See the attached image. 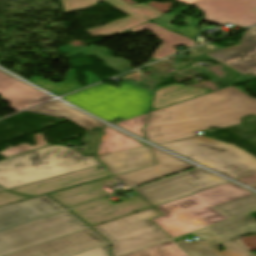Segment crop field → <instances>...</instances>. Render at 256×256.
<instances>
[{"instance_id": "crop-field-35", "label": "crop field", "mask_w": 256, "mask_h": 256, "mask_svg": "<svg viewBox=\"0 0 256 256\" xmlns=\"http://www.w3.org/2000/svg\"><path fill=\"white\" fill-rule=\"evenodd\" d=\"M101 131H94L88 134L83 135L81 143H86V149L79 151L84 155H94V152L97 147L99 135Z\"/></svg>"}, {"instance_id": "crop-field-29", "label": "crop field", "mask_w": 256, "mask_h": 256, "mask_svg": "<svg viewBox=\"0 0 256 256\" xmlns=\"http://www.w3.org/2000/svg\"><path fill=\"white\" fill-rule=\"evenodd\" d=\"M66 79H67L66 82L59 84V85L50 83L48 81H45V80H42L39 78H34L30 81H32L36 85H38L48 91H50L51 93H53L55 95H62L67 92L81 88V86L77 82H75L73 71L68 72V74L66 75Z\"/></svg>"}, {"instance_id": "crop-field-1", "label": "crop field", "mask_w": 256, "mask_h": 256, "mask_svg": "<svg viewBox=\"0 0 256 256\" xmlns=\"http://www.w3.org/2000/svg\"><path fill=\"white\" fill-rule=\"evenodd\" d=\"M251 114L256 116V98L231 86L150 112L144 132L147 140L159 144L195 136L210 126L223 129L240 124V118Z\"/></svg>"}, {"instance_id": "crop-field-19", "label": "crop field", "mask_w": 256, "mask_h": 256, "mask_svg": "<svg viewBox=\"0 0 256 256\" xmlns=\"http://www.w3.org/2000/svg\"><path fill=\"white\" fill-rule=\"evenodd\" d=\"M120 182L115 176L90 182L67 190L49 194L53 199L69 209L109 195L102 188Z\"/></svg>"}, {"instance_id": "crop-field-37", "label": "crop field", "mask_w": 256, "mask_h": 256, "mask_svg": "<svg viewBox=\"0 0 256 256\" xmlns=\"http://www.w3.org/2000/svg\"><path fill=\"white\" fill-rule=\"evenodd\" d=\"M109 252H110V246L108 243L73 256H110Z\"/></svg>"}, {"instance_id": "crop-field-32", "label": "crop field", "mask_w": 256, "mask_h": 256, "mask_svg": "<svg viewBox=\"0 0 256 256\" xmlns=\"http://www.w3.org/2000/svg\"><path fill=\"white\" fill-rule=\"evenodd\" d=\"M242 243L240 240L222 243L226 250L221 251L220 253L223 256H256Z\"/></svg>"}, {"instance_id": "crop-field-39", "label": "crop field", "mask_w": 256, "mask_h": 256, "mask_svg": "<svg viewBox=\"0 0 256 256\" xmlns=\"http://www.w3.org/2000/svg\"><path fill=\"white\" fill-rule=\"evenodd\" d=\"M81 48H84V47H82V46L73 47V46H71V45H67V46H64V47L60 48L59 50H60L61 52H63L65 55H67V54H69V53H71V52H73V51L79 50V49H81Z\"/></svg>"}, {"instance_id": "crop-field-16", "label": "crop field", "mask_w": 256, "mask_h": 256, "mask_svg": "<svg viewBox=\"0 0 256 256\" xmlns=\"http://www.w3.org/2000/svg\"><path fill=\"white\" fill-rule=\"evenodd\" d=\"M98 168L105 171L100 172ZM112 176L102 165L19 186L9 191L38 196L69 186ZM70 188V187H69Z\"/></svg>"}, {"instance_id": "crop-field-3", "label": "crop field", "mask_w": 256, "mask_h": 256, "mask_svg": "<svg viewBox=\"0 0 256 256\" xmlns=\"http://www.w3.org/2000/svg\"><path fill=\"white\" fill-rule=\"evenodd\" d=\"M63 99L110 122L146 113L152 93L130 82L120 88L100 83Z\"/></svg>"}, {"instance_id": "crop-field-7", "label": "crop field", "mask_w": 256, "mask_h": 256, "mask_svg": "<svg viewBox=\"0 0 256 256\" xmlns=\"http://www.w3.org/2000/svg\"><path fill=\"white\" fill-rule=\"evenodd\" d=\"M200 168L135 188L154 206L226 183Z\"/></svg>"}, {"instance_id": "crop-field-9", "label": "crop field", "mask_w": 256, "mask_h": 256, "mask_svg": "<svg viewBox=\"0 0 256 256\" xmlns=\"http://www.w3.org/2000/svg\"><path fill=\"white\" fill-rule=\"evenodd\" d=\"M61 2L66 14L79 9L92 7L98 2H106L130 15L102 27L88 30L87 32L93 37L102 36L106 38L163 15L145 3L130 5L122 0H61Z\"/></svg>"}, {"instance_id": "crop-field-36", "label": "crop field", "mask_w": 256, "mask_h": 256, "mask_svg": "<svg viewBox=\"0 0 256 256\" xmlns=\"http://www.w3.org/2000/svg\"><path fill=\"white\" fill-rule=\"evenodd\" d=\"M28 198H32V197H28V196H23V195H18V194H13L9 191H1L0 192V207L5 206V205H9L18 201H22Z\"/></svg>"}, {"instance_id": "crop-field-8", "label": "crop field", "mask_w": 256, "mask_h": 256, "mask_svg": "<svg viewBox=\"0 0 256 256\" xmlns=\"http://www.w3.org/2000/svg\"><path fill=\"white\" fill-rule=\"evenodd\" d=\"M250 234H256V221L249 215H243L193 233L199 239L195 242L181 240L177 244L190 256H222L217 250L220 243Z\"/></svg>"}, {"instance_id": "crop-field-21", "label": "crop field", "mask_w": 256, "mask_h": 256, "mask_svg": "<svg viewBox=\"0 0 256 256\" xmlns=\"http://www.w3.org/2000/svg\"><path fill=\"white\" fill-rule=\"evenodd\" d=\"M97 157L113 175L155 164L148 147Z\"/></svg>"}, {"instance_id": "crop-field-31", "label": "crop field", "mask_w": 256, "mask_h": 256, "mask_svg": "<svg viewBox=\"0 0 256 256\" xmlns=\"http://www.w3.org/2000/svg\"><path fill=\"white\" fill-rule=\"evenodd\" d=\"M34 137H35V141H36V145L34 147L30 146L27 143L21 144V145H17L15 147H10V148L3 150V152H0V155L9 158L14 155L25 153V152L31 151L33 149L48 145L43 140L42 133L36 134V135H34Z\"/></svg>"}, {"instance_id": "crop-field-6", "label": "crop field", "mask_w": 256, "mask_h": 256, "mask_svg": "<svg viewBox=\"0 0 256 256\" xmlns=\"http://www.w3.org/2000/svg\"><path fill=\"white\" fill-rule=\"evenodd\" d=\"M89 228L69 211L0 232V256Z\"/></svg>"}, {"instance_id": "crop-field-26", "label": "crop field", "mask_w": 256, "mask_h": 256, "mask_svg": "<svg viewBox=\"0 0 256 256\" xmlns=\"http://www.w3.org/2000/svg\"><path fill=\"white\" fill-rule=\"evenodd\" d=\"M99 144L97 155L119 152L133 148L143 147L137 140L121 134L110 127L106 126Z\"/></svg>"}, {"instance_id": "crop-field-27", "label": "crop field", "mask_w": 256, "mask_h": 256, "mask_svg": "<svg viewBox=\"0 0 256 256\" xmlns=\"http://www.w3.org/2000/svg\"><path fill=\"white\" fill-rule=\"evenodd\" d=\"M109 52H111V51L106 47L99 48L95 45H92L90 47L73 52V53L65 56V58H69L71 56L81 53L82 55H84L86 57H89V56L97 57L98 59H100L104 62L106 67L116 71L119 74L131 70L130 62L126 61L123 58H115Z\"/></svg>"}, {"instance_id": "crop-field-18", "label": "crop field", "mask_w": 256, "mask_h": 256, "mask_svg": "<svg viewBox=\"0 0 256 256\" xmlns=\"http://www.w3.org/2000/svg\"><path fill=\"white\" fill-rule=\"evenodd\" d=\"M159 215L160 214L158 213V211L152 208L93 227V229L99 232L110 242H113L121 238L155 227L152 223L148 221V219Z\"/></svg>"}, {"instance_id": "crop-field-15", "label": "crop field", "mask_w": 256, "mask_h": 256, "mask_svg": "<svg viewBox=\"0 0 256 256\" xmlns=\"http://www.w3.org/2000/svg\"><path fill=\"white\" fill-rule=\"evenodd\" d=\"M65 210L47 195L0 208V229Z\"/></svg>"}, {"instance_id": "crop-field-22", "label": "crop field", "mask_w": 256, "mask_h": 256, "mask_svg": "<svg viewBox=\"0 0 256 256\" xmlns=\"http://www.w3.org/2000/svg\"><path fill=\"white\" fill-rule=\"evenodd\" d=\"M146 29L151 31L154 35H156L158 38H160L163 41V43L156 49L155 53L153 54V56L151 57L149 62L163 58L169 54L175 53L176 51L174 50V47H177L179 45H184L188 48L197 45L192 39L177 35L171 31H168V30L160 27L159 25H157L151 21H149L141 26L121 32L119 34L126 35L131 32L138 33L140 31H143Z\"/></svg>"}, {"instance_id": "crop-field-33", "label": "crop field", "mask_w": 256, "mask_h": 256, "mask_svg": "<svg viewBox=\"0 0 256 256\" xmlns=\"http://www.w3.org/2000/svg\"><path fill=\"white\" fill-rule=\"evenodd\" d=\"M225 68L228 70V76H227L228 79H227V81H225V80H219V81L214 80L216 77L213 76L209 71H207L203 68L194 67L192 69L194 71H196L198 74H201V75L207 77L208 79L216 82L218 88L221 89V88L228 87V86L232 85L233 84V78L236 75H239V73L234 71L233 69H231L227 66H225ZM229 76H231V78Z\"/></svg>"}, {"instance_id": "crop-field-40", "label": "crop field", "mask_w": 256, "mask_h": 256, "mask_svg": "<svg viewBox=\"0 0 256 256\" xmlns=\"http://www.w3.org/2000/svg\"><path fill=\"white\" fill-rule=\"evenodd\" d=\"M85 74H86V76L88 77V78H87V81H88V82H87L86 85H90V84L99 82L98 78H97L95 75H93V74H91V73H85Z\"/></svg>"}, {"instance_id": "crop-field-10", "label": "crop field", "mask_w": 256, "mask_h": 256, "mask_svg": "<svg viewBox=\"0 0 256 256\" xmlns=\"http://www.w3.org/2000/svg\"><path fill=\"white\" fill-rule=\"evenodd\" d=\"M222 220L226 218L204 203L151 219L172 238Z\"/></svg>"}, {"instance_id": "crop-field-13", "label": "crop field", "mask_w": 256, "mask_h": 256, "mask_svg": "<svg viewBox=\"0 0 256 256\" xmlns=\"http://www.w3.org/2000/svg\"><path fill=\"white\" fill-rule=\"evenodd\" d=\"M207 55L241 75L250 73L256 77V27L244 32L240 44Z\"/></svg>"}, {"instance_id": "crop-field-45", "label": "crop field", "mask_w": 256, "mask_h": 256, "mask_svg": "<svg viewBox=\"0 0 256 256\" xmlns=\"http://www.w3.org/2000/svg\"><path fill=\"white\" fill-rule=\"evenodd\" d=\"M1 190H3V189L0 188V191H1Z\"/></svg>"}, {"instance_id": "crop-field-34", "label": "crop field", "mask_w": 256, "mask_h": 256, "mask_svg": "<svg viewBox=\"0 0 256 256\" xmlns=\"http://www.w3.org/2000/svg\"><path fill=\"white\" fill-rule=\"evenodd\" d=\"M146 114L139 116L137 118L131 119V120L119 122L115 125H117L118 127L122 128L124 130L132 132V133L136 134L137 136L144 139L142 132H141V128L143 127V123H144Z\"/></svg>"}, {"instance_id": "crop-field-2", "label": "crop field", "mask_w": 256, "mask_h": 256, "mask_svg": "<svg viewBox=\"0 0 256 256\" xmlns=\"http://www.w3.org/2000/svg\"><path fill=\"white\" fill-rule=\"evenodd\" d=\"M99 164L68 147L51 146L0 162V186L9 189Z\"/></svg>"}, {"instance_id": "crop-field-41", "label": "crop field", "mask_w": 256, "mask_h": 256, "mask_svg": "<svg viewBox=\"0 0 256 256\" xmlns=\"http://www.w3.org/2000/svg\"><path fill=\"white\" fill-rule=\"evenodd\" d=\"M178 1L179 3H184V4H192L194 2H197L199 0H176Z\"/></svg>"}, {"instance_id": "crop-field-25", "label": "crop field", "mask_w": 256, "mask_h": 256, "mask_svg": "<svg viewBox=\"0 0 256 256\" xmlns=\"http://www.w3.org/2000/svg\"><path fill=\"white\" fill-rule=\"evenodd\" d=\"M169 238L170 237H168L157 227H155L147 231L113 242V255H123Z\"/></svg>"}, {"instance_id": "crop-field-38", "label": "crop field", "mask_w": 256, "mask_h": 256, "mask_svg": "<svg viewBox=\"0 0 256 256\" xmlns=\"http://www.w3.org/2000/svg\"><path fill=\"white\" fill-rule=\"evenodd\" d=\"M237 181L245 184V185H252L256 183V174L252 176H248L242 179H238Z\"/></svg>"}, {"instance_id": "crop-field-23", "label": "crop field", "mask_w": 256, "mask_h": 256, "mask_svg": "<svg viewBox=\"0 0 256 256\" xmlns=\"http://www.w3.org/2000/svg\"><path fill=\"white\" fill-rule=\"evenodd\" d=\"M26 111L66 119L87 132L92 131L95 127L104 126L98 121L85 116L59 101H52Z\"/></svg>"}, {"instance_id": "crop-field-14", "label": "crop field", "mask_w": 256, "mask_h": 256, "mask_svg": "<svg viewBox=\"0 0 256 256\" xmlns=\"http://www.w3.org/2000/svg\"><path fill=\"white\" fill-rule=\"evenodd\" d=\"M148 207H151V205L138 196L116 205L110 203L106 199H102L71 209V211L78 215L87 224L93 226Z\"/></svg>"}, {"instance_id": "crop-field-5", "label": "crop field", "mask_w": 256, "mask_h": 256, "mask_svg": "<svg viewBox=\"0 0 256 256\" xmlns=\"http://www.w3.org/2000/svg\"><path fill=\"white\" fill-rule=\"evenodd\" d=\"M193 5L205 15L204 21L213 24L232 23L245 28L256 23V0H202ZM190 6L192 5L166 14L153 22L191 38L201 21L180 15ZM176 16L186 19L184 24L188 25L187 28L171 25Z\"/></svg>"}, {"instance_id": "crop-field-4", "label": "crop field", "mask_w": 256, "mask_h": 256, "mask_svg": "<svg viewBox=\"0 0 256 256\" xmlns=\"http://www.w3.org/2000/svg\"><path fill=\"white\" fill-rule=\"evenodd\" d=\"M159 145L234 180L256 173V158L229 144L198 136Z\"/></svg>"}, {"instance_id": "crop-field-43", "label": "crop field", "mask_w": 256, "mask_h": 256, "mask_svg": "<svg viewBox=\"0 0 256 256\" xmlns=\"http://www.w3.org/2000/svg\"><path fill=\"white\" fill-rule=\"evenodd\" d=\"M10 76L0 71V81L4 80L6 78H9Z\"/></svg>"}, {"instance_id": "crop-field-30", "label": "crop field", "mask_w": 256, "mask_h": 256, "mask_svg": "<svg viewBox=\"0 0 256 256\" xmlns=\"http://www.w3.org/2000/svg\"><path fill=\"white\" fill-rule=\"evenodd\" d=\"M126 256H187L177 245L172 241L156 245L154 247L135 252Z\"/></svg>"}, {"instance_id": "crop-field-28", "label": "crop field", "mask_w": 256, "mask_h": 256, "mask_svg": "<svg viewBox=\"0 0 256 256\" xmlns=\"http://www.w3.org/2000/svg\"><path fill=\"white\" fill-rule=\"evenodd\" d=\"M214 209L228 219L252 210H256V194Z\"/></svg>"}, {"instance_id": "crop-field-12", "label": "crop field", "mask_w": 256, "mask_h": 256, "mask_svg": "<svg viewBox=\"0 0 256 256\" xmlns=\"http://www.w3.org/2000/svg\"><path fill=\"white\" fill-rule=\"evenodd\" d=\"M252 194L255 193L232 182H229L191 196L156 206V208L163 215H166L202 202L214 208L250 196Z\"/></svg>"}, {"instance_id": "crop-field-17", "label": "crop field", "mask_w": 256, "mask_h": 256, "mask_svg": "<svg viewBox=\"0 0 256 256\" xmlns=\"http://www.w3.org/2000/svg\"><path fill=\"white\" fill-rule=\"evenodd\" d=\"M150 148L157 165L117 175L116 177L122 182H126L130 187H134L194 167L158 149Z\"/></svg>"}, {"instance_id": "crop-field-24", "label": "crop field", "mask_w": 256, "mask_h": 256, "mask_svg": "<svg viewBox=\"0 0 256 256\" xmlns=\"http://www.w3.org/2000/svg\"><path fill=\"white\" fill-rule=\"evenodd\" d=\"M209 92L212 91L201 88L183 86L179 83L157 88L155 89V96L150 111L160 109L171 104Z\"/></svg>"}, {"instance_id": "crop-field-11", "label": "crop field", "mask_w": 256, "mask_h": 256, "mask_svg": "<svg viewBox=\"0 0 256 256\" xmlns=\"http://www.w3.org/2000/svg\"><path fill=\"white\" fill-rule=\"evenodd\" d=\"M105 243L89 228L7 256H70Z\"/></svg>"}, {"instance_id": "crop-field-44", "label": "crop field", "mask_w": 256, "mask_h": 256, "mask_svg": "<svg viewBox=\"0 0 256 256\" xmlns=\"http://www.w3.org/2000/svg\"><path fill=\"white\" fill-rule=\"evenodd\" d=\"M252 187L256 188V184H255V185H253Z\"/></svg>"}, {"instance_id": "crop-field-42", "label": "crop field", "mask_w": 256, "mask_h": 256, "mask_svg": "<svg viewBox=\"0 0 256 256\" xmlns=\"http://www.w3.org/2000/svg\"><path fill=\"white\" fill-rule=\"evenodd\" d=\"M198 60L199 61H215V60L211 59L210 57H208L206 55L201 57V58H199Z\"/></svg>"}, {"instance_id": "crop-field-20", "label": "crop field", "mask_w": 256, "mask_h": 256, "mask_svg": "<svg viewBox=\"0 0 256 256\" xmlns=\"http://www.w3.org/2000/svg\"><path fill=\"white\" fill-rule=\"evenodd\" d=\"M0 95L1 100L11 104V108L16 111L52 98L13 77L0 82Z\"/></svg>"}]
</instances>
